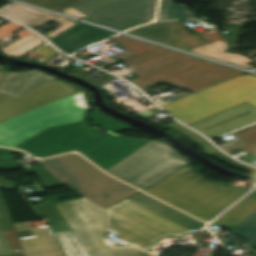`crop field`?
<instances>
[{
	"label": "crop field",
	"instance_id": "obj_1",
	"mask_svg": "<svg viewBox=\"0 0 256 256\" xmlns=\"http://www.w3.org/2000/svg\"><path fill=\"white\" fill-rule=\"evenodd\" d=\"M38 162L69 189H78L84 196L56 205L90 256H155L132 244L124 247L107 244L106 230L147 250L155 248L165 236L193 233L127 199L104 210L138 190L103 173L79 154Z\"/></svg>",
	"mask_w": 256,
	"mask_h": 256
},
{
	"label": "crop field",
	"instance_id": "obj_2",
	"mask_svg": "<svg viewBox=\"0 0 256 256\" xmlns=\"http://www.w3.org/2000/svg\"><path fill=\"white\" fill-rule=\"evenodd\" d=\"M114 40L126 51L114 58L140 76L130 82L143 91L163 83L196 93L246 73L122 35Z\"/></svg>",
	"mask_w": 256,
	"mask_h": 256
},
{
	"label": "crop field",
	"instance_id": "obj_3",
	"mask_svg": "<svg viewBox=\"0 0 256 256\" xmlns=\"http://www.w3.org/2000/svg\"><path fill=\"white\" fill-rule=\"evenodd\" d=\"M149 143L129 137H107L90 130L85 121L47 128L15 148L37 158L79 151L104 170H108ZM85 156V157H86Z\"/></svg>",
	"mask_w": 256,
	"mask_h": 256
},
{
	"label": "crop field",
	"instance_id": "obj_4",
	"mask_svg": "<svg viewBox=\"0 0 256 256\" xmlns=\"http://www.w3.org/2000/svg\"><path fill=\"white\" fill-rule=\"evenodd\" d=\"M221 184L208 182L198 170L188 165L144 192L210 222L251 189L230 188Z\"/></svg>",
	"mask_w": 256,
	"mask_h": 256
},
{
	"label": "crop field",
	"instance_id": "obj_5",
	"mask_svg": "<svg viewBox=\"0 0 256 256\" xmlns=\"http://www.w3.org/2000/svg\"><path fill=\"white\" fill-rule=\"evenodd\" d=\"M244 101L256 107L254 75H242L164 105L162 108L189 125Z\"/></svg>",
	"mask_w": 256,
	"mask_h": 256
},
{
	"label": "crop field",
	"instance_id": "obj_6",
	"mask_svg": "<svg viewBox=\"0 0 256 256\" xmlns=\"http://www.w3.org/2000/svg\"><path fill=\"white\" fill-rule=\"evenodd\" d=\"M81 92L0 123V146L14 147L47 127L83 120L87 110L74 100Z\"/></svg>",
	"mask_w": 256,
	"mask_h": 256
},
{
	"label": "crop field",
	"instance_id": "obj_7",
	"mask_svg": "<svg viewBox=\"0 0 256 256\" xmlns=\"http://www.w3.org/2000/svg\"><path fill=\"white\" fill-rule=\"evenodd\" d=\"M188 163L175 149L154 140L107 172L143 190Z\"/></svg>",
	"mask_w": 256,
	"mask_h": 256
},
{
	"label": "crop field",
	"instance_id": "obj_8",
	"mask_svg": "<svg viewBox=\"0 0 256 256\" xmlns=\"http://www.w3.org/2000/svg\"><path fill=\"white\" fill-rule=\"evenodd\" d=\"M83 88L61 80H54L20 98L0 93V122L77 92Z\"/></svg>",
	"mask_w": 256,
	"mask_h": 256
},
{
	"label": "crop field",
	"instance_id": "obj_9",
	"mask_svg": "<svg viewBox=\"0 0 256 256\" xmlns=\"http://www.w3.org/2000/svg\"><path fill=\"white\" fill-rule=\"evenodd\" d=\"M186 28L189 27L182 24L181 21L159 22L136 28L129 33L185 50L224 39V37L214 29L196 36L184 30Z\"/></svg>",
	"mask_w": 256,
	"mask_h": 256
},
{
	"label": "crop field",
	"instance_id": "obj_10",
	"mask_svg": "<svg viewBox=\"0 0 256 256\" xmlns=\"http://www.w3.org/2000/svg\"><path fill=\"white\" fill-rule=\"evenodd\" d=\"M158 0H132L90 16L86 21L124 31L152 21Z\"/></svg>",
	"mask_w": 256,
	"mask_h": 256
},
{
	"label": "crop field",
	"instance_id": "obj_11",
	"mask_svg": "<svg viewBox=\"0 0 256 256\" xmlns=\"http://www.w3.org/2000/svg\"><path fill=\"white\" fill-rule=\"evenodd\" d=\"M256 122V108L244 102L189 125L212 138Z\"/></svg>",
	"mask_w": 256,
	"mask_h": 256
},
{
	"label": "crop field",
	"instance_id": "obj_12",
	"mask_svg": "<svg viewBox=\"0 0 256 256\" xmlns=\"http://www.w3.org/2000/svg\"><path fill=\"white\" fill-rule=\"evenodd\" d=\"M113 35L115 34L80 23L50 42L70 54Z\"/></svg>",
	"mask_w": 256,
	"mask_h": 256
},
{
	"label": "crop field",
	"instance_id": "obj_13",
	"mask_svg": "<svg viewBox=\"0 0 256 256\" xmlns=\"http://www.w3.org/2000/svg\"><path fill=\"white\" fill-rule=\"evenodd\" d=\"M15 226L17 231L32 230L35 233L34 238L20 241L25 256H63L49 226L32 228L24 223Z\"/></svg>",
	"mask_w": 256,
	"mask_h": 256
},
{
	"label": "crop field",
	"instance_id": "obj_14",
	"mask_svg": "<svg viewBox=\"0 0 256 256\" xmlns=\"http://www.w3.org/2000/svg\"><path fill=\"white\" fill-rule=\"evenodd\" d=\"M54 79L56 78L40 71L10 72L3 81L0 92L19 98Z\"/></svg>",
	"mask_w": 256,
	"mask_h": 256
},
{
	"label": "crop field",
	"instance_id": "obj_15",
	"mask_svg": "<svg viewBox=\"0 0 256 256\" xmlns=\"http://www.w3.org/2000/svg\"><path fill=\"white\" fill-rule=\"evenodd\" d=\"M190 230L194 229L198 231L205 224L140 192L130 198H128ZM203 228V227H202Z\"/></svg>",
	"mask_w": 256,
	"mask_h": 256
},
{
	"label": "crop field",
	"instance_id": "obj_16",
	"mask_svg": "<svg viewBox=\"0 0 256 256\" xmlns=\"http://www.w3.org/2000/svg\"><path fill=\"white\" fill-rule=\"evenodd\" d=\"M256 210V197L248 195L212 224L233 229Z\"/></svg>",
	"mask_w": 256,
	"mask_h": 256
},
{
	"label": "crop field",
	"instance_id": "obj_17",
	"mask_svg": "<svg viewBox=\"0 0 256 256\" xmlns=\"http://www.w3.org/2000/svg\"><path fill=\"white\" fill-rule=\"evenodd\" d=\"M227 48H229L226 43L225 39L216 41L201 47H197L191 49L190 51L197 52L206 56H210L219 60H223L229 63H233L242 67H246L249 69L255 68L250 63L254 62L243 55H235L231 53L224 52Z\"/></svg>",
	"mask_w": 256,
	"mask_h": 256
},
{
	"label": "crop field",
	"instance_id": "obj_18",
	"mask_svg": "<svg viewBox=\"0 0 256 256\" xmlns=\"http://www.w3.org/2000/svg\"><path fill=\"white\" fill-rule=\"evenodd\" d=\"M0 10H1L0 11L1 14L9 16L26 25H29L33 22H36L40 19H43L45 17L52 15L37 9L25 7V6L14 4V3Z\"/></svg>",
	"mask_w": 256,
	"mask_h": 256
},
{
	"label": "crop field",
	"instance_id": "obj_19",
	"mask_svg": "<svg viewBox=\"0 0 256 256\" xmlns=\"http://www.w3.org/2000/svg\"><path fill=\"white\" fill-rule=\"evenodd\" d=\"M231 134L236 138L230 142L219 145L222 149L229 152L240 147L256 154V124Z\"/></svg>",
	"mask_w": 256,
	"mask_h": 256
},
{
	"label": "crop field",
	"instance_id": "obj_20",
	"mask_svg": "<svg viewBox=\"0 0 256 256\" xmlns=\"http://www.w3.org/2000/svg\"><path fill=\"white\" fill-rule=\"evenodd\" d=\"M26 31L32 33L31 35L0 49V52L10 56L19 58L25 53L45 43L39 36L35 35L28 29Z\"/></svg>",
	"mask_w": 256,
	"mask_h": 256
},
{
	"label": "crop field",
	"instance_id": "obj_21",
	"mask_svg": "<svg viewBox=\"0 0 256 256\" xmlns=\"http://www.w3.org/2000/svg\"><path fill=\"white\" fill-rule=\"evenodd\" d=\"M196 18L186 5H176L173 0H162L157 20Z\"/></svg>",
	"mask_w": 256,
	"mask_h": 256
},
{
	"label": "crop field",
	"instance_id": "obj_22",
	"mask_svg": "<svg viewBox=\"0 0 256 256\" xmlns=\"http://www.w3.org/2000/svg\"><path fill=\"white\" fill-rule=\"evenodd\" d=\"M55 234L67 256H89L73 230Z\"/></svg>",
	"mask_w": 256,
	"mask_h": 256
},
{
	"label": "crop field",
	"instance_id": "obj_23",
	"mask_svg": "<svg viewBox=\"0 0 256 256\" xmlns=\"http://www.w3.org/2000/svg\"><path fill=\"white\" fill-rule=\"evenodd\" d=\"M250 195L256 196V189ZM232 232L256 244V211L235 227Z\"/></svg>",
	"mask_w": 256,
	"mask_h": 256
},
{
	"label": "crop field",
	"instance_id": "obj_24",
	"mask_svg": "<svg viewBox=\"0 0 256 256\" xmlns=\"http://www.w3.org/2000/svg\"><path fill=\"white\" fill-rule=\"evenodd\" d=\"M129 0H85L75 6L77 10L83 12L84 14L90 16L99 11L107 9L119 3H123Z\"/></svg>",
	"mask_w": 256,
	"mask_h": 256
},
{
	"label": "crop field",
	"instance_id": "obj_25",
	"mask_svg": "<svg viewBox=\"0 0 256 256\" xmlns=\"http://www.w3.org/2000/svg\"><path fill=\"white\" fill-rule=\"evenodd\" d=\"M14 254L22 253L13 229L0 231V255Z\"/></svg>",
	"mask_w": 256,
	"mask_h": 256
},
{
	"label": "crop field",
	"instance_id": "obj_26",
	"mask_svg": "<svg viewBox=\"0 0 256 256\" xmlns=\"http://www.w3.org/2000/svg\"><path fill=\"white\" fill-rule=\"evenodd\" d=\"M169 126H171L175 129H177L178 131L184 133L189 138L194 140L197 144H199L201 147H203V150L200 151L201 153L206 154V153H209L211 151L217 150V148H215L207 139H205L203 136L199 135L195 131H193V130L187 128V127L181 126L177 122H173V123H171L169 125H166L164 127L167 128Z\"/></svg>",
	"mask_w": 256,
	"mask_h": 256
},
{
	"label": "crop field",
	"instance_id": "obj_27",
	"mask_svg": "<svg viewBox=\"0 0 256 256\" xmlns=\"http://www.w3.org/2000/svg\"><path fill=\"white\" fill-rule=\"evenodd\" d=\"M50 21H53L55 23L60 24L58 27H60L59 29L45 35L49 40L54 38L55 36L59 35L60 33L64 32L65 30L69 29L70 27L74 26L75 24H77L78 22L60 17V16H56V15H52L48 18H45L41 21H38L36 23H33L31 25H29L30 27L36 29Z\"/></svg>",
	"mask_w": 256,
	"mask_h": 256
},
{
	"label": "crop field",
	"instance_id": "obj_28",
	"mask_svg": "<svg viewBox=\"0 0 256 256\" xmlns=\"http://www.w3.org/2000/svg\"><path fill=\"white\" fill-rule=\"evenodd\" d=\"M22 1L30 2V3L60 12L63 9L69 6H72L82 0H22Z\"/></svg>",
	"mask_w": 256,
	"mask_h": 256
},
{
	"label": "crop field",
	"instance_id": "obj_29",
	"mask_svg": "<svg viewBox=\"0 0 256 256\" xmlns=\"http://www.w3.org/2000/svg\"><path fill=\"white\" fill-rule=\"evenodd\" d=\"M206 155H209L219 161H222L230 166H233L237 169H240V170H243V171H246V172H253L256 168H253V167H250V166H247L233 158H231L230 156L222 153L221 151L217 150V151H214L212 153H209V154H206Z\"/></svg>",
	"mask_w": 256,
	"mask_h": 256
},
{
	"label": "crop field",
	"instance_id": "obj_30",
	"mask_svg": "<svg viewBox=\"0 0 256 256\" xmlns=\"http://www.w3.org/2000/svg\"><path fill=\"white\" fill-rule=\"evenodd\" d=\"M91 120L95 121L98 125L104 127L105 129H113L117 125H119L121 122L116 121L114 119H111L109 117H106L96 111H93L91 115ZM94 122V123H95Z\"/></svg>",
	"mask_w": 256,
	"mask_h": 256
},
{
	"label": "crop field",
	"instance_id": "obj_31",
	"mask_svg": "<svg viewBox=\"0 0 256 256\" xmlns=\"http://www.w3.org/2000/svg\"><path fill=\"white\" fill-rule=\"evenodd\" d=\"M35 53L44 55L43 57L39 58V60L44 62V63L50 61L55 56L60 54L58 51H56L55 49H53L49 45H46V46H43V47L39 48L37 51H35Z\"/></svg>",
	"mask_w": 256,
	"mask_h": 256
},
{
	"label": "crop field",
	"instance_id": "obj_32",
	"mask_svg": "<svg viewBox=\"0 0 256 256\" xmlns=\"http://www.w3.org/2000/svg\"><path fill=\"white\" fill-rule=\"evenodd\" d=\"M9 228H12V224L10 222L4 203L0 202V230Z\"/></svg>",
	"mask_w": 256,
	"mask_h": 256
},
{
	"label": "crop field",
	"instance_id": "obj_33",
	"mask_svg": "<svg viewBox=\"0 0 256 256\" xmlns=\"http://www.w3.org/2000/svg\"><path fill=\"white\" fill-rule=\"evenodd\" d=\"M75 99H76V102L83 106L84 108H88L89 106V103H88V100H87V96H86V93H81L79 95H76L75 96Z\"/></svg>",
	"mask_w": 256,
	"mask_h": 256
},
{
	"label": "crop field",
	"instance_id": "obj_34",
	"mask_svg": "<svg viewBox=\"0 0 256 256\" xmlns=\"http://www.w3.org/2000/svg\"><path fill=\"white\" fill-rule=\"evenodd\" d=\"M62 12L66 13V14H70V15L76 16V17H80V18H83V19L87 18L86 15H84L83 13L77 11L76 9H74L72 7L68 8V9H66V10H64Z\"/></svg>",
	"mask_w": 256,
	"mask_h": 256
},
{
	"label": "crop field",
	"instance_id": "obj_35",
	"mask_svg": "<svg viewBox=\"0 0 256 256\" xmlns=\"http://www.w3.org/2000/svg\"><path fill=\"white\" fill-rule=\"evenodd\" d=\"M0 184L5 185L11 189H16V187L18 185L17 183H14L12 181H9V180L3 179V178H0Z\"/></svg>",
	"mask_w": 256,
	"mask_h": 256
},
{
	"label": "crop field",
	"instance_id": "obj_36",
	"mask_svg": "<svg viewBox=\"0 0 256 256\" xmlns=\"http://www.w3.org/2000/svg\"><path fill=\"white\" fill-rule=\"evenodd\" d=\"M130 129H135V128L122 123L119 126H117L116 128H114L113 131H124V130H130Z\"/></svg>",
	"mask_w": 256,
	"mask_h": 256
},
{
	"label": "crop field",
	"instance_id": "obj_37",
	"mask_svg": "<svg viewBox=\"0 0 256 256\" xmlns=\"http://www.w3.org/2000/svg\"><path fill=\"white\" fill-rule=\"evenodd\" d=\"M18 153V151L11 150V149H0V154H15Z\"/></svg>",
	"mask_w": 256,
	"mask_h": 256
},
{
	"label": "crop field",
	"instance_id": "obj_38",
	"mask_svg": "<svg viewBox=\"0 0 256 256\" xmlns=\"http://www.w3.org/2000/svg\"><path fill=\"white\" fill-rule=\"evenodd\" d=\"M9 72L0 70V85Z\"/></svg>",
	"mask_w": 256,
	"mask_h": 256
},
{
	"label": "crop field",
	"instance_id": "obj_39",
	"mask_svg": "<svg viewBox=\"0 0 256 256\" xmlns=\"http://www.w3.org/2000/svg\"><path fill=\"white\" fill-rule=\"evenodd\" d=\"M15 256H24V255H15Z\"/></svg>",
	"mask_w": 256,
	"mask_h": 256
}]
</instances>
